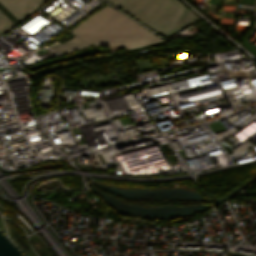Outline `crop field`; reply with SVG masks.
<instances>
[{"label":"crop field","instance_id":"1","mask_svg":"<svg viewBox=\"0 0 256 256\" xmlns=\"http://www.w3.org/2000/svg\"><path fill=\"white\" fill-rule=\"evenodd\" d=\"M109 1L164 37L199 19L176 0Z\"/></svg>","mask_w":256,"mask_h":256},{"label":"crop field","instance_id":"2","mask_svg":"<svg viewBox=\"0 0 256 256\" xmlns=\"http://www.w3.org/2000/svg\"><path fill=\"white\" fill-rule=\"evenodd\" d=\"M12 25H14V23L0 11V34Z\"/></svg>","mask_w":256,"mask_h":256}]
</instances>
